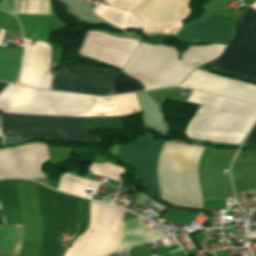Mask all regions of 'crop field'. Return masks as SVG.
<instances>
[{"label": "crop field", "instance_id": "8a807250", "mask_svg": "<svg viewBox=\"0 0 256 256\" xmlns=\"http://www.w3.org/2000/svg\"><path fill=\"white\" fill-rule=\"evenodd\" d=\"M0 112L49 116H119L114 97H95L8 85L0 94ZM1 113L3 137L100 140L89 133L86 118ZM27 134L9 137L29 138Z\"/></svg>", "mask_w": 256, "mask_h": 256}, {"label": "crop field", "instance_id": "ac0d7876", "mask_svg": "<svg viewBox=\"0 0 256 256\" xmlns=\"http://www.w3.org/2000/svg\"><path fill=\"white\" fill-rule=\"evenodd\" d=\"M0 205L7 224H23L19 256H62L57 235L85 222L84 199L26 180H0Z\"/></svg>", "mask_w": 256, "mask_h": 256}, {"label": "crop field", "instance_id": "34b2d1b8", "mask_svg": "<svg viewBox=\"0 0 256 256\" xmlns=\"http://www.w3.org/2000/svg\"><path fill=\"white\" fill-rule=\"evenodd\" d=\"M161 144L147 137L124 146L115 145L111 153L136 167L134 178L142 181L149 193L174 205L201 208L203 197L197 169L205 148L168 141L160 149Z\"/></svg>", "mask_w": 256, "mask_h": 256}, {"label": "crop field", "instance_id": "412701ff", "mask_svg": "<svg viewBox=\"0 0 256 256\" xmlns=\"http://www.w3.org/2000/svg\"><path fill=\"white\" fill-rule=\"evenodd\" d=\"M224 48L222 45L189 47L180 61L172 47L141 43L123 70L140 80L146 89L178 85L196 67L219 56Z\"/></svg>", "mask_w": 256, "mask_h": 256}, {"label": "crop field", "instance_id": "f4fd0767", "mask_svg": "<svg viewBox=\"0 0 256 256\" xmlns=\"http://www.w3.org/2000/svg\"><path fill=\"white\" fill-rule=\"evenodd\" d=\"M188 101L202 104L187 125L190 138L240 143L256 121V105L195 91Z\"/></svg>", "mask_w": 256, "mask_h": 256}, {"label": "crop field", "instance_id": "dd49c442", "mask_svg": "<svg viewBox=\"0 0 256 256\" xmlns=\"http://www.w3.org/2000/svg\"><path fill=\"white\" fill-rule=\"evenodd\" d=\"M124 211L91 201L90 225L65 256H101L116 251Z\"/></svg>", "mask_w": 256, "mask_h": 256}, {"label": "crop field", "instance_id": "e52e79f7", "mask_svg": "<svg viewBox=\"0 0 256 256\" xmlns=\"http://www.w3.org/2000/svg\"><path fill=\"white\" fill-rule=\"evenodd\" d=\"M143 20V31L174 35L189 16L191 0H108Z\"/></svg>", "mask_w": 256, "mask_h": 256}, {"label": "crop field", "instance_id": "d8731c3e", "mask_svg": "<svg viewBox=\"0 0 256 256\" xmlns=\"http://www.w3.org/2000/svg\"><path fill=\"white\" fill-rule=\"evenodd\" d=\"M201 68L221 70L256 79L255 10L249 8L238 20L235 40L226 53Z\"/></svg>", "mask_w": 256, "mask_h": 256}, {"label": "crop field", "instance_id": "5a996713", "mask_svg": "<svg viewBox=\"0 0 256 256\" xmlns=\"http://www.w3.org/2000/svg\"><path fill=\"white\" fill-rule=\"evenodd\" d=\"M118 74L110 69L74 66L53 73L51 89L89 95H111V79Z\"/></svg>", "mask_w": 256, "mask_h": 256}, {"label": "crop field", "instance_id": "3316defc", "mask_svg": "<svg viewBox=\"0 0 256 256\" xmlns=\"http://www.w3.org/2000/svg\"><path fill=\"white\" fill-rule=\"evenodd\" d=\"M49 159L44 143H32L0 149V178H43L41 162Z\"/></svg>", "mask_w": 256, "mask_h": 256}, {"label": "crop field", "instance_id": "28ad6ade", "mask_svg": "<svg viewBox=\"0 0 256 256\" xmlns=\"http://www.w3.org/2000/svg\"><path fill=\"white\" fill-rule=\"evenodd\" d=\"M181 86L256 103V86L196 69Z\"/></svg>", "mask_w": 256, "mask_h": 256}, {"label": "crop field", "instance_id": "d1516ede", "mask_svg": "<svg viewBox=\"0 0 256 256\" xmlns=\"http://www.w3.org/2000/svg\"><path fill=\"white\" fill-rule=\"evenodd\" d=\"M49 45L35 41L34 46H25L24 59L18 84L50 89L52 74L48 69Z\"/></svg>", "mask_w": 256, "mask_h": 256}, {"label": "crop field", "instance_id": "22f410ed", "mask_svg": "<svg viewBox=\"0 0 256 256\" xmlns=\"http://www.w3.org/2000/svg\"><path fill=\"white\" fill-rule=\"evenodd\" d=\"M232 36L233 22L209 16L203 23L182 26L173 38L190 43L214 42L227 45Z\"/></svg>", "mask_w": 256, "mask_h": 256}, {"label": "crop field", "instance_id": "cbeb9de0", "mask_svg": "<svg viewBox=\"0 0 256 256\" xmlns=\"http://www.w3.org/2000/svg\"><path fill=\"white\" fill-rule=\"evenodd\" d=\"M143 221L138 217L122 223L117 252L166 237L158 230L141 224Z\"/></svg>", "mask_w": 256, "mask_h": 256}, {"label": "crop field", "instance_id": "5142ce71", "mask_svg": "<svg viewBox=\"0 0 256 256\" xmlns=\"http://www.w3.org/2000/svg\"><path fill=\"white\" fill-rule=\"evenodd\" d=\"M235 192L256 189V151L239 152L232 166Z\"/></svg>", "mask_w": 256, "mask_h": 256}, {"label": "crop field", "instance_id": "d9b57169", "mask_svg": "<svg viewBox=\"0 0 256 256\" xmlns=\"http://www.w3.org/2000/svg\"><path fill=\"white\" fill-rule=\"evenodd\" d=\"M91 171L94 175L118 181L121 173L123 172V169H120L107 163H105L104 166L94 163L91 168ZM86 182L87 179L63 174L59 181L58 189L66 193L78 195L81 189L86 184Z\"/></svg>", "mask_w": 256, "mask_h": 256}, {"label": "crop field", "instance_id": "733c2abd", "mask_svg": "<svg viewBox=\"0 0 256 256\" xmlns=\"http://www.w3.org/2000/svg\"><path fill=\"white\" fill-rule=\"evenodd\" d=\"M22 225L0 226V256H18Z\"/></svg>", "mask_w": 256, "mask_h": 256}, {"label": "crop field", "instance_id": "4a817a6b", "mask_svg": "<svg viewBox=\"0 0 256 256\" xmlns=\"http://www.w3.org/2000/svg\"><path fill=\"white\" fill-rule=\"evenodd\" d=\"M22 52L0 50V80L16 83Z\"/></svg>", "mask_w": 256, "mask_h": 256}, {"label": "crop field", "instance_id": "bc2a9ffb", "mask_svg": "<svg viewBox=\"0 0 256 256\" xmlns=\"http://www.w3.org/2000/svg\"><path fill=\"white\" fill-rule=\"evenodd\" d=\"M112 85L114 89V94L144 90L143 85L139 81L126 76L122 72L115 76L112 81Z\"/></svg>", "mask_w": 256, "mask_h": 256}, {"label": "crop field", "instance_id": "214f88e0", "mask_svg": "<svg viewBox=\"0 0 256 256\" xmlns=\"http://www.w3.org/2000/svg\"><path fill=\"white\" fill-rule=\"evenodd\" d=\"M114 97L117 103L120 116L140 111L135 93L117 95Z\"/></svg>", "mask_w": 256, "mask_h": 256}, {"label": "crop field", "instance_id": "92a150f3", "mask_svg": "<svg viewBox=\"0 0 256 256\" xmlns=\"http://www.w3.org/2000/svg\"><path fill=\"white\" fill-rule=\"evenodd\" d=\"M256 144V126L245 141V145Z\"/></svg>", "mask_w": 256, "mask_h": 256}, {"label": "crop field", "instance_id": "dafd665d", "mask_svg": "<svg viewBox=\"0 0 256 256\" xmlns=\"http://www.w3.org/2000/svg\"><path fill=\"white\" fill-rule=\"evenodd\" d=\"M49 15H56L53 6L50 3V0H49Z\"/></svg>", "mask_w": 256, "mask_h": 256}, {"label": "crop field", "instance_id": "00972430", "mask_svg": "<svg viewBox=\"0 0 256 256\" xmlns=\"http://www.w3.org/2000/svg\"><path fill=\"white\" fill-rule=\"evenodd\" d=\"M7 85V83L4 82H0V92L2 91V89Z\"/></svg>", "mask_w": 256, "mask_h": 256}, {"label": "crop field", "instance_id": "a9b5d70f", "mask_svg": "<svg viewBox=\"0 0 256 256\" xmlns=\"http://www.w3.org/2000/svg\"><path fill=\"white\" fill-rule=\"evenodd\" d=\"M251 7H253L254 9H256V2H254Z\"/></svg>", "mask_w": 256, "mask_h": 256}, {"label": "crop field", "instance_id": "4177f3b9", "mask_svg": "<svg viewBox=\"0 0 256 256\" xmlns=\"http://www.w3.org/2000/svg\"><path fill=\"white\" fill-rule=\"evenodd\" d=\"M0 136H1V134H0Z\"/></svg>", "mask_w": 256, "mask_h": 256}, {"label": "crop field", "instance_id": "730fd06b", "mask_svg": "<svg viewBox=\"0 0 256 256\" xmlns=\"http://www.w3.org/2000/svg\"><path fill=\"white\" fill-rule=\"evenodd\" d=\"M13 9V8H12Z\"/></svg>", "mask_w": 256, "mask_h": 256}]
</instances>
